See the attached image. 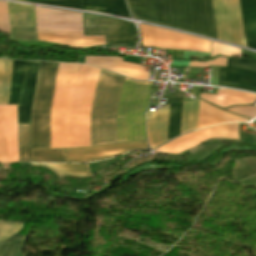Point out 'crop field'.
Segmentation results:
<instances>
[{
  "label": "crop field",
  "instance_id": "3316defc",
  "mask_svg": "<svg viewBox=\"0 0 256 256\" xmlns=\"http://www.w3.org/2000/svg\"><path fill=\"white\" fill-rule=\"evenodd\" d=\"M85 63L132 79H148V72H144L143 65L125 63L119 57H85Z\"/></svg>",
  "mask_w": 256,
  "mask_h": 256
},
{
  "label": "crop field",
  "instance_id": "d9b57169",
  "mask_svg": "<svg viewBox=\"0 0 256 256\" xmlns=\"http://www.w3.org/2000/svg\"><path fill=\"white\" fill-rule=\"evenodd\" d=\"M247 47L256 49V0H240Z\"/></svg>",
  "mask_w": 256,
  "mask_h": 256
},
{
  "label": "crop field",
  "instance_id": "d3111659",
  "mask_svg": "<svg viewBox=\"0 0 256 256\" xmlns=\"http://www.w3.org/2000/svg\"><path fill=\"white\" fill-rule=\"evenodd\" d=\"M34 3L56 5V6H63V7H70V8L81 9L79 0L40 1V2H34Z\"/></svg>",
  "mask_w": 256,
  "mask_h": 256
},
{
  "label": "crop field",
  "instance_id": "4a817a6b",
  "mask_svg": "<svg viewBox=\"0 0 256 256\" xmlns=\"http://www.w3.org/2000/svg\"><path fill=\"white\" fill-rule=\"evenodd\" d=\"M11 27L35 26L33 7L7 3Z\"/></svg>",
  "mask_w": 256,
  "mask_h": 256
},
{
  "label": "crop field",
  "instance_id": "5142ce71",
  "mask_svg": "<svg viewBox=\"0 0 256 256\" xmlns=\"http://www.w3.org/2000/svg\"><path fill=\"white\" fill-rule=\"evenodd\" d=\"M9 163L19 162L16 105L4 106Z\"/></svg>",
  "mask_w": 256,
  "mask_h": 256
},
{
  "label": "crop field",
  "instance_id": "bd1437ed",
  "mask_svg": "<svg viewBox=\"0 0 256 256\" xmlns=\"http://www.w3.org/2000/svg\"><path fill=\"white\" fill-rule=\"evenodd\" d=\"M23 242L10 243L3 256H18Z\"/></svg>",
  "mask_w": 256,
  "mask_h": 256
},
{
  "label": "crop field",
  "instance_id": "d8731c3e",
  "mask_svg": "<svg viewBox=\"0 0 256 256\" xmlns=\"http://www.w3.org/2000/svg\"><path fill=\"white\" fill-rule=\"evenodd\" d=\"M158 47L210 53V41L158 28Z\"/></svg>",
  "mask_w": 256,
  "mask_h": 256
},
{
  "label": "crop field",
  "instance_id": "bc2a9ffb",
  "mask_svg": "<svg viewBox=\"0 0 256 256\" xmlns=\"http://www.w3.org/2000/svg\"><path fill=\"white\" fill-rule=\"evenodd\" d=\"M35 166H44L54 171L59 177L72 176V177H90L87 165H70V164H36Z\"/></svg>",
  "mask_w": 256,
  "mask_h": 256
},
{
  "label": "crop field",
  "instance_id": "750c4746",
  "mask_svg": "<svg viewBox=\"0 0 256 256\" xmlns=\"http://www.w3.org/2000/svg\"><path fill=\"white\" fill-rule=\"evenodd\" d=\"M226 58H217L211 62L207 63H197V62H190V67H200V68H209V65H216L225 67Z\"/></svg>",
  "mask_w": 256,
  "mask_h": 256
},
{
  "label": "crop field",
  "instance_id": "22f410ed",
  "mask_svg": "<svg viewBox=\"0 0 256 256\" xmlns=\"http://www.w3.org/2000/svg\"><path fill=\"white\" fill-rule=\"evenodd\" d=\"M210 128L193 132L177 138L176 140L156 149L154 152L180 154L185 150L192 149L209 139Z\"/></svg>",
  "mask_w": 256,
  "mask_h": 256
},
{
  "label": "crop field",
  "instance_id": "ae1a2a85",
  "mask_svg": "<svg viewBox=\"0 0 256 256\" xmlns=\"http://www.w3.org/2000/svg\"><path fill=\"white\" fill-rule=\"evenodd\" d=\"M234 114L244 117L255 118L256 117V107L248 106V107H234L230 109H226Z\"/></svg>",
  "mask_w": 256,
  "mask_h": 256
},
{
  "label": "crop field",
  "instance_id": "a9b5d70f",
  "mask_svg": "<svg viewBox=\"0 0 256 256\" xmlns=\"http://www.w3.org/2000/svg\"><path fill=\"white\" fill-rule=\"evenodd\" d=\"M142 46L157 47V28L139 24Z\"/></svg>",
  "mask_w": 256,
  "mask_h": 256
},
{
  "label": "crop field",
  "instance_id": "730fd06b",
  "mask_svg": "<svg viewBox=\"0 0 256 256\" xmlns=\"http://www.w3.org/2000/svg\"><path fill=\"white\" fill-rule=\"evenodd\" d=\"M218 45H220V46H218ZM217 55L241 56V53H240L239 49L233 48L228 45L212 42L211 57H215Z\"/></svg>",
  "mask_w": 256,
  "mask_h": 256
},
{
  "label": "crop field",
  "instance_id": "d32e631a",
  "mask_svg": "<svg viewBox=\"0 0 256 256\" xmlns=\"http://www.w3.org/2000/svg\"><path fill=\"white\" fill-rule=\"evenodd\" d=\"M27 1H39V0H27Z\"/></svg>",
  "mask_w": 256,
  "mask_h": 256
},
{
  "label": "crop field",
  "instance_id": "733c2abd",
  "mask_svg": "<svg viewBox=\"0 0 256 256\" xmlns=\"http://www.w3.org/2000/svg\"><path fill=\"white\" fill-rule=\"evenodd\" d=\"M81 7L101 13L130 16L124 0H80ZM131 17V16H130Z\"/></svg>",
  "mask_w": 256,
  "mask_h": 256
},
{
  "label": "crop field",
  "instance_id": "e52e79f7",
  "mask_svg": "<svg viewBox=\"0 0 256 256\" xmlns=\"http://www.w3.org/2000/svg\"><path fill=\"white\" fill-rule=\"evenodd\" d=\"M147 148L146 140L96 147L65 149L66 162H89L122 154L130 149Z\"/></svg>",
  "mask_w": 256,
  "mask_h": 256
},
{
  "label": "crop field",
  "instance_id": "eef30255",
  "mask_svg": "<svg viewBox=\"0 0 256 256\" xmlns=\"http://www.w3.org/2000/svg\"><path fill=\"white\" fill-rule=\"evenodd\" d=\"M0 31L8 35L10 31L6 2H1V1H0Z\"/></svg>",
  "mask_w": 256,
  "mask_h": 256
},
{
  "label": "crop field",
  "instance_id": "8a807250",
  "mask_svg": "<svg viewBox=\"0 0 256 256\" xmlns=\"http://www.w3.org/2000/svg\"><path fill=\"white\" fill-rule=\"evenodd\" d=\"M58 63L40 62L31 110L32 162H65L64 149H49V112ZM80 64L59 63L50 112V148L69 147V110ZM100 69L80 66L70 111V147L91 146L90 116ZM123 77L101 69L92 116V146L117 143ZM152 82L124 77L118 143L143 140ZM20 162H30V125H18Z\"/></svg>",
  "mask_w": 256,
  "mask_h": 256
},
{
  "label": "crop field",
  "instance_id": "f4fd0767",
  "mask_svg": "<svg viewBox=\"0 0 256 256\" xmlns=\"http://www.w3.org/2000/svg\"><path fill=\"white\" fill-rule=\"evenodd\" d=\"M84 35H105L106 44L136 43L131 22L83 14Z\"/></svg>",
  "mask_w": 256,
  "mask_h": 256
},
{
  "label": "crop field",
  "instance_id": "412701ff",
  "mask_svg": "<svg viewBox=\"0 0 256 256\" xmlns=\"http://www.w3.org/2000/svg\"><path fill=\"white\" fill-rule=\"evenodd\" d=\"M218 39L245 46L239 0H212Z\"/></svg>",
  "mask_w": 256,
  "mask_h": 256
},
{
  "label": "crop field",
  "instance_id": "1d83c4d3",
  "mask_svg": "<svg viewBox=\"0 0 256 256\" xmlns=\"http://www.w3.org/2000/svg\"><path fill=\"white\" fill-rule=\"evenodd\" d=\"M10 35H35V27L11 28Z\"/></svg>",
  "mask_w": 256,
  "mask_h": 256
},
{
  "label": "crop field",
  "instance_id": "dafd665d",
  "mask_svg": "<svg viewBox=\"0 0 256 256\" xmlns=\"http://www.w3.org/2000/svg\"><path fill=\"white\" fill-rule=\"evenodd\" d=\"M182 102L170 104L167 140L180 134Z\"/></svg>",
  "mask_w": 256,
  "mask_h": 256
},
{
  "label": "crop field",
  "instance_id": "120bbe31",
  "mask_svg": "<svg viewBox=\"0 0 256 256\" xmlns=\"http://www.w3.org/2000/svg\"><path fill=\"white\" fill-rule=\"evenodd\" d=\"M24 238H25V236L17 234L15 236H13L12 238L8 239L7 241L1 242L0 243V256H2V254L4 253L8 243L10 241L24 240Z\"/></svg>",
  "mask_w": 256,
  "mask_h": 256
},
{
  "label": "crop field",
  "instance_id": "cbeb9de0",
  "mask_svg": "<svg viewBox=\"0 0 256 256\" xmlns=\"http://www.w3.org/2000/svg\"><path fill=\"white\" fill-rule=\"evenodd\" d=\"M247 119L223 112L200 100L198 129L224 122H246Z\"/></svg>",
  "mask_w": 256,
  "mask_h": 256
},
{
  "label": "crop field",
  "instance_id": "92a150f3",
  "mask_svg": "<svg viewBox=\"0 0 256 256\" xmlns=\"http://www.w3.org/2000/svg\"><path fill=\"white\" fill-rule=\"evenodd\" d=\"M12 60H0V104H8Z\"/></svg>",
  "mask_w": 256,
  "mask_h": 256
},
{
  "label": "crop field",
  "instance_id": "34b2d1b8",
  "mask_svg": "<svg viewBox=\"0 0 256 256\" xmlns=\"http://www.w3.org/2000/svg\"><path fill=\"white\" fill-rule=\"evenodd\" d=\"M38 65L39 62L13 60L9 104H17L18 124H30Z\"/></svg>",
  "mask_w": 256,
  "mask_h": 256
},
{
  "label": "crop field",
  "instance_id": "214f88e0",
  "mask_svg": "<svg viewBox=\"0 0 256 256\" xmlns=\"http://www.w3.org/2000/svg\"><path fill=\"white\" fill-rule=\"evenodd\" d=\"M198 107L199 100L183 102L181 133L197 129Z\"/></svg>",
  "mask_w": 256,
  "mask_h": 256
},
{
  "label": "crop field",
  "instance_id": "28ad6ade",
  "mask_svg": "<svg viewBox=\"0 0 256 256\" xmlns=\"http://www.w3.org/2000/svg\"><path fill=\"white\" fill-rule=\"evenodd\" d=\"M169 105L147 116V135L151 149H154L166 141Z\"/></svg>",
  "mask_w": 256,
  "mask_h": 256
},
{
  "label": "crop field",
  "instance_id": "4177f3b9",
  "mask_svg": "<svg viewBox=\"0 0 256 256\" xmlns=\"http://www.w3.org/2000/svg\"><path fill=\"white\" fill-rule=\"evenodd\" d=\"M21 223H12L8 221H0V242L11 237L22 229Z\"/></svg>",
  "mask_w": 256,
  "mask_h": 256
},
{
  "label": "crop field",
  "instance_id": "d1516ede",
  "mask_svg": "<svg viewBox=\"0 0 256 256\" xmlns=\"http://www.w3.org/2000/svg\"><path fill=\"white\" fill-rule=\"evenodd\" d=\"M200 98L224 108L231 105L254 103L256 100V94L236 90L218 89L217 95L201 94Z\"/></svg>",
  "mask_w": 256,
  "mask_h": 256
},
{
  "label": "crop field",
  "instance_id": "5a996713",
  "mask_svg": "<svg viewBox=\"0 0 256 256\" xmlns=\"http://www.w3.org/2000/svg\"><path fill=\"white\" fill-rule=\"evenodd\" d=\"M36 26L83 30L82 14L35 7Z\"/></svg>",
  "mask_w": 256,
  "mask_h": 256
},
{
  "label": "crop field",
  "instance_id": "ac0d7876",
  "mask_svg": "<svg viewBox=\"0 0 256 256\" xmlns=\"http://www.w3.org/2000/svg\"><path fill=\"white\" fill-rule=\"evenodd\" d=\"M132 16L217 39L211 0H127Z\"/></svg>",
  "mask_w": 256,
  "mask_h": 256
},
{
  "label": "crop field",
  "instance_id": "dd49c442",
  "mask_svg": "<svg viewBox=\"0 0 256 256\" xmlns=\"http://www.w3.org/2000/svg\"><path fill=\"white\" fill-rule=\"evenodd\" d=\"M218 86H230L256 92V60L228 59L219 67Z\"/></svg>",
  "mask_w": 256,
  "mask_h": 256
},
{
  "label": "crop field",
  "instance_id": "00972430",
  "mask_svg": "<svg viewBox=\"0 0 256 256\" xmlns=\"http://www.w3.org/2000/svg\"><path fill=\"white\" fill-rule=\"evenodd\" d=\"M211 138H227L239 140L238 124H224L211 128Z\"/></svg>",
  "mask_w": 256,
  "mask_h": 256
}]
</instances>
